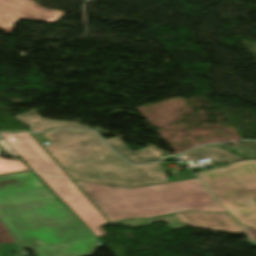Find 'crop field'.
<instances>
[{"mask_svg": "<svg viewBox=\"0 0 256 256\" xmlns=\"http://www.w3.org/2000/svg\"><path fill=\"white\" fill-rule=\"evenodd\" d=\"M0 219L36 256H92L99 242L31 171L0 176Z\"/></svg>", "mask_w": 256, "mask_h": 256, "instance_id": "crop-field-1", "label": "crop field"}, {"mask_svg": "<svg viewBox=\"0 0 256 256\" xmlns=\"http://www.w3.org/2000/svg\"><path fill=\"white\" fill-rule=\"evenodd\" d=\"M77 183L110 222L187 210L226 212L198 179L130 189Z\"/></svg>", "mask_w": 256, "mask_h": 256, "instance_id": "crop-field-2", "label": "crop field"}, {"mask_svg": "<svg viewBox=\"0 0 256 256\" xmlns=\"http://www.w3.org/2000/svg\"><path fill=\"white\" fill-rule=\"evenodd\" d=\"M0 135L31 166L32 169L44 172L38 164V162L42 161L47 169L52 171L55 176L62 178L68 177L36 142L30 133ZM38 175L58 194V196L97 237L103 236L97 227L108 223V221L73 182L46 176L44 174Z\"/></svg>", "mask_w": 256, "mask_h": 256, "instance_id": "crop-field-3", "label": "crop field"}, {"mask_svg": "<svg viewBox=\"0 0 256 256\" xmlns=\"http://www.w3.org/2000/svg\"><path fill=\"white\" fill-rule=\"evenodd\" d=\"M197 175L239 222L256 229V159Z\"/></svg>", "mask_w": 256, "mask_h": 256, "instance_id": "crop-field-4", "label": "crop field"}, {"mask_svg": "<svg viewBox=\"0 0 256 256\" xmlns=\"http://www.w3.org/2000/svg\"><path fill=\"white\" fill-rule=\"evenodd\" d=\"M64 169L74 180L123 187L168 182L161 163L131 165L113 152L69 165Z\"/></svg>", "mask_w": 256, "mask_h": 256, "instance_id": "crop-field-5", "label": "crop field"}, {"mask_svg": "<svg viewBox=\"0 0 256 256\" xmlns=\"http://www.w3.org/2000/svg\"><path fill=\"white\" fill-rule=\"evenodd\" d=\"M52 132L59 137V141L52 143L49 146L43 144L46 139L41 134H31L61 168L93 156L111 152L106 146L107 144L105 145L95 132L80 130H56ZM66 174L68 175L67 172ZM73 182L78 186L74 180Z\"/></svg>", "mask_w": 256, "mask_h": 256, "instance_id": "crop-field-6", "label": "crop field"}, {"mask_svg": "<svg viewBox=\"0 0 256 256\" xmlns=\"http://www.w3.org/2000/svg\"><path fill=\"white\" fill-rule=\"evenodd\" d=\"M66 14L46 10L32 0H0V27L8 33L21 19L57 22Z\"/></svg>", "mask_w": 256, "mask_h": 256, "instance_id": "crop-field-7", "label": "crop field"}, {"mask_svg": "<svg viewBox=\"0 0 256 256\" xmlns=\"http://www.w3.org/2000/svg\"><path fill=\"white\" fill-rule=\"evenodd\" d=\"M174 216L185 225L225 232L244 233L228 214L186 212L174 214Z\"/></svg>", "mask_w": 256, "mask_h": 256, "instance_id": "crop-field-8", "label": "crop field"}, {"mask_svg": "<svg viewBox=\"0 0 256 256\" xmlns=\"http://www.w3.org/2000/svg\"><path fill=\"white\" fill-rule=\"evenodd\" d=\"M20 122L29 125L33 132H39L44 130L56 129V128H80V129H91L77 122H62L53 121L42 118L37 115V109L24 113L22 115L15 116ZM38 122V124H36Z\"/></svg>", "mask_w": 256, "mask_h": 256, "instance_id": "crop-field-9", "label": "crop field"}, {"mask_svg": "<svg viewBox=\"0 0 256 256\" xmlns=\"http://www.w3.org/2000/svg\"><path fill=\"white\" fill-rule=\"evenodd\" d=\"M106 141L116 152L122 154L133 163L165 160L161 157L163 153L153 147L143 148L138 150V152H133L119 138L108 139Z\"/></svg>", "mask_w": 256, "mask_h": 256, "instance_id": "crop-field-10", "label": "crop field"}, {"mask_svg": "<svg viewBox=\"0 0 256 256\" xmlns=\"http://www.w3.org/2000/svg\"><path fill=\"white\" fill-rule=\"evenodd\" d=\"M184 155L196 160L210 158L211 161L215 163L239 159L237 156L228 154L214 148H196Z\"/></svg>", "mask_w": 256, "mask_h": 256, "instance_id": "crop-field-11", "label": "crop field"}, {"mask_svg": "<svg viewBox=\"0 0 256 256\" xmlns=\"http://www.w3.org/2000/svg\"><path fill=\"white\" fill-rule=\"evenodd\" d=\"M157 220L164 221L172 229L183 228V225L173 215L157 217L152 219H129V220L120 221V222H113L111 224L112 225L123 224V225L132 226V227H138V226L146 225L152 221H157Z\"/></svg>", "mask_w": 256, "mask_h": 256, "instance_id": "crop-field-12", "label": "crop field"}, {"mask_svg": "<svg viewBox=\"0 0 256 256\" xmlns=\"http://www.w3.org/2000/svg\"><path fill=\"white\" fill-rule=\"evenodd\" d=\"M29 170L18 160H7L0 157V174L13 173Z\"/></svg>", "mask_w": 256, "mask_h": 256, "instance_id": "crop-field-13", "label": "crop field"}, {"mask_svg": "<svg viewBox=\"0 0 256 256\" xmlns=\"http://www.w3.org/2000/svg\"><path fill=\"white\" fill-rule=\"evenodd\" d=\"M15 242L9 232L5 229V227L0 223V246L2 243H11Z\"/></svg>", "mask_w": 256, "mask_h": 256, "instance_id": "crop-field-14", "label": "crop field"}, {"mask_svg": "<svg viewBox=\"0 0 256 256\" xmlns=\"http://www.w3.org/2000/svg\"><path fill=\"white\" fill-rule=\"evenodd\" d=\"M0 145L3 149H5L8 153L19 156L7 143L3 138H0Z\"/></svg>", "mask_w": 256, "mask_h": 256, "instance_id": "crop-field-15", "label": "crop field"}, {"mask_svg": "<svg viewBox=\"0 0 256 256\" xmlns=\"http://www.w3.org/2000/svg\"><path fill=\"white\" fill-rule=\"evenodd\" d=\"M241 226L256 243V231L245 225H241Z\"/></svg>", "mask_w": 256, "mask_h": 256, "instance_id": "crop-field-16", "label": "crop field"}, {"mask_svg": "<svg viewBox=\"0 0 256 256\" xmlns=\"http://www.w3.org/2000/svg\"><path fill=\"white\" fill-rule=\"evenodd\" d=\"M47 140H52V141H57L58 137L56 135H54L53 133H45L42 134Z\"/></svg>", "mask_w": 256, "mask_h": 256, "instance_id": "crop-field-17", "label": "crop field"}, {"mask_svg": "<svg viewBox=\"0 0 256 256\" xmlns=\"http://www.w3.org/2000/svg\"><path fill=\"white\" fill-rule=\"evenodd\" d=\"M39 164H40V166L42 167V169L46 172V173H45L46 175L54 176L52 172L48 171V170L45 168V166L42 164V162H40ZM66 179L71 180L70 178H66ZM71 181H72V180H71Z\"/></svg>", "mask_w": 256, "mask_h": 256, "instance_id": "crop-field-18", "label": "crop field"}, {"mask_svg": "<svg viewBox=\"0 0 256 256\" xmlns=\"http://www.w3.org/2000/svg\"><path fill=\"white\" fill-rule=\"evenodd\" d=\"M98 229L101 231V233H102L104 236L107 235L100 227H98Z\"/></svg>", "mask_w": 256, "mask_h": 256, "instance_id": "crop-field-19", "label": "crop field"}, {"mask_svg": "<svg viewBox=\"0 0 256 256\" xmlns=\"http://www.w3.org/2000/svg\"><path fill=\"white\" fill-rule=\"evenodd\" d=\"M35 172H37V171H35ZM40 173V172H39Z\"/></svg>", "mask_w": 256, "mask_h": 256, "instance_id": "crop-field-20", "label": "crop field"}]
</instances>
